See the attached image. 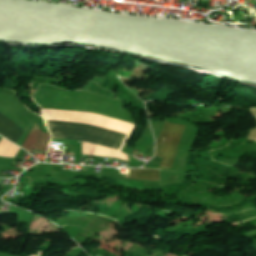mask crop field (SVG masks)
Instances as JSON below:
<instances>
[{"instance_id": "8a807250", "label": "crop field", "mask_w": 256, "mask_h": 256, "mask_svg": "<svg viewBox=\"0 0 256 256\" xmlns=\"http://www.w3.org/2000/svg\"><path fill=\"white\" fill-rule=\"evenodd\" d=\"M52 137L83 140L120 149L127 135L88 124L45 121Z\"/></svg>"}, {"instance_id": "ac0d7876", "label": "crop field", "mask_w": 256, "mask_h": 256, "mask_svg": "<svg viewBox=\"0 0 256 256\" xmlns=\"http://www.w3.org/2000/svg\"><path fill=\"white\" fill-rule=\"evenodd\" d=\"M185 126L166 123L156 143V155L162 157L160 167L171 169Z\"/></svg>"}, {"instance_id": "34b2d1b8", "label": "crop field", "mask_w": 256, "mask_h": 256, "mask_svg": "<svg viewBox=\"0 0 256 256\" xmlns=\"http://www.w3.org/2000/svg\"><path fill=\"white\" fill-rule=\"evenodd\" d=\"M24 130L0 113V134L16 143Z\"/></svg>"}, {"instance_id": "412701ff", "label": "crop field", "mask_w": 256, "mask_h": 256, "mask_svg": "<svg viewBox=\"0 0 256 256\" xmlns=\"http://www.w3.org/2000/svg\"><path fill=\"white\" fill-rule=\"evenodd\" d=\"M125 178L160 181L159 170L151 169H130L129 176Z\"/></svg>"}]
</instances>
